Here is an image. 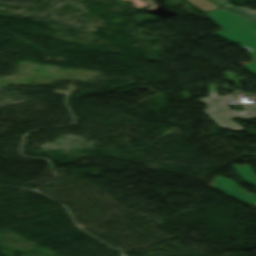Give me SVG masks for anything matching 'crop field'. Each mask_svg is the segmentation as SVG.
I'll use <instances>...</instances> for the list:
<instances>
[{
	"mask_svg": "<svg viewBox=\"0 0 256 256\" xmlns=\"http://www.w3.org/2000/svg\"><path fill=\"white\" fill-rule=\"evenodd\" d=\"M216 23L222 26L215 35L250 50L253 64L245 69L256 74V22L251 21L227 8L206 12Z\"/></svg>",
	"mask_w": 256,
	"mask_h": 256,
	"instance_id": "obj_1",
	"label": "crop field"
},
{
	"mask_svg": "<svg viewBox=\"0 0 256 256\" xmlns=\"http://www.w3.org/2000/svg\"><path fill=\"white\" fill-rule=\"evenodd\" d=\"M209 90V97L199 99L208 105V109L204 110V112L220 127L230 128L233 131L242 130V127L230 120L239 116L237 111L230 110L227 106V103L232 100V97L230 95L223 97L215 96L214 86H209Z\"/></svg>",
	"mask_w": 256,
	"mask_h": 256,
	"instance_id": "obj_2",
	"label": "crop field"
},
{
	"mask_svg": "<svg viewBox=\"0 0 256 256\" xmlns=\"http://www.w3.org/2000/svg\"><path fill=\"white\" fill-rule=\"evenodd\" d=\"M233 168L236 170V172L243 178L244 181H248L250 183H253L256 186V176L254 173L250 170V168L245 166H238L233 165ZM214 186L213 188L244 203V204H256V196L252 195L242 189H240L238 186H236L232 180L230 179H224L222 177H218L214 179Z\"/></svg>",
	"mask_w": 256,
	"mask_h": 256,
	"instance_id": "obj_3",
	"label": "crop field"
},
{
	"mask_svg": "<svg viewBox=\"0 0 256 256\" xmlns=\"http://www.w3.org/2000/svg\"><path fill=\"white\" fill-rule=\"evenodd\" d=\"M189 1H191L194 5H196L198 8L202 10H213V9L222 8L221 6L209 0H189Z\"/></svg>",
	"mask_w": 256,
	"mask_h": 256,
	"instance_id": "obj_4",
	"label": "crop field"
},
{
	"mask_svg": "<svg viewBox=\"0 0 256 256\" xmlns=\"http://www.w3.org/2000/svg\"><path fill=\"white\" fill-rule=\"evenodd\" d=\"M246 109L244 112L239 113L243 120L256 117V104H242Z\"/></svg>",
	"mask_w": 256,
	"mask_h": 256,
	"instance_id": "obj_5",
	"label": "crop field"
},
{
	"mask_svg": "<svg viewBox=\"0 0 256 256\" xmlns=\"http://www.w3.org/2000/svg\"><path fill=\"white\" fill-rule=\"evenodd\" d=\"M228 8L256 21V11L253 12L247 8H244V7L240 8L235 6H231Z\"/></svg>",
	"mask_w": 256,
	"mask_h": 256,
	"instance_id": "obj_6",
	"label": "crop field"
},
{
	"mask_svg": "<svg viewBox=\"0 0 256 256\" xmlns=\"http://www.w3.org/2000/svg\"><path fill=\"white\" fill-rule=\"evenodd\" d=\"M122 1H125V0H122ZM134 5L138 8V9H141L143 6H145L146 4L140 2L139 0H131Z\"/></svg>",
	"mask_w": 256,
	"mask_h": 256,
	"instance_id": "obj_7",
	"label": "crop field"
},
{
	"mask_svg": "<svg viewBox=\"0 0 256 256\" xmlns=\"http://www.w3.org/2000/svg\"><path fill=\"white\" fill-rule=\"evenodd\" d=\"M213 1H215V2H217V3H219V4H221V5H223V6H225V7L231 6L230 4H228V3L226 2L227 0H213Z\"/></svg>",
	"mask_w": 256,
	"mask_h": 256,
	"instance_id": "obj_8",
	"label": "crop field"
}]
</instances>
